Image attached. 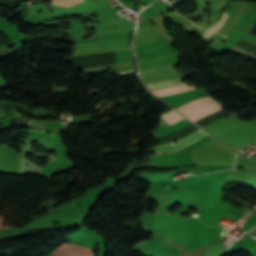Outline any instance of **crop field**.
Returning a JSON list of instances; mask_svg holds the SVG:
<instances>
[{"label": "crop field", "mask_w": 256, "mask_h": 256, "mask_svg": "<svg viewBox=\"0 0 256 256\" xmlns=\"http://www.w3.org/2000/svg\"><path fill=\"white\" fill-rule=\"evenodd\" d=\"M52 255L54 256H93V251L79 246V245H70L64 244L53 251ZM48 255V256H52Z\"/></svg>", "instance_id": "crop-field-1"}, {"label": "crop field", "mask_w": 256, "mask_h": 256, "mask_svg": "<svg viewBox=\"0 0 256 256\" xmlns=\"http://www.w3.org/2000/svg\"><path fill=\"white\" fill-rule=\"evenodd\" d=\"M204 135L206 134H204L202 131L199 130L194 134L177 141L178 143L176 144L170 143L162 146H156L154 148L157 154L178 150V149H181L183 146L191 144L192 142L196 141L197 139L201 138Z\"/></svg>", "instance_id": "crop-field-2"}, {"label": "crop field", "mask_w": 256, "mask_h": 256, "mask_svg": "<svg viewBox=\"0 0 256 256\" xmlns=\"http://www.w3.org/2000/svg\"><path fill=\"white\" fill-rule=\"evenodd\" d=\"M189 124H191V123H189L187 120L183 119L168 128L157 130V131H152V133L156 138H158L160 136H164V135H168L173 132H176Z\"/></svg>", "instance_id": "crop-field-3"}, {"label": "crop field", "mask_w": 256, "mask_h": 256, "mask_svg": "<svg viewBox=\"0 0 256 256\" xmlns=\"http://www.w3.org/2000/svg\"><path fill=\"white\" fill-rule=\"evenodd\" d=\"M182 80H184V78L150 83V84H146V86L149 88L150 91H153V90H158V89H162V88H166V87H170V86L183 85V84H185L184 82L177 83Z\"/></svg>", "instance_id": "crop-field-4"}, {"label": "crop field", "mask_w": 256, "mask_h": 256, "mask_svg": "<svg viewBox=\"0 0 256 256\" xmlns=\"http://www.w3.org/2000/svg\"><path fill=\"white\" fill-rule=\"evenodd\" d=\"M53 5H59V6H64V7H70L74 4H77L79 2H83V0H51ZM42 2V1H38ZM36 3V2H28V6Z\"/></svg>", "instance_id": "crop-field-5"}, {"label": "crop field", "mask_w": 256, "mask_h": 256, "mask_svg": "<svg viewBox=\"0 0 256 256\" xmlns=\"http://www.w3.org/2000/svg\"><path fill=\"white\" fill-rule=\"evenodd\" d=\"M27 139L30 140L31 142H38L39 145L42 146V148L46 151L52 150L55 145L53 143H48V142H44V141L34 140V139H30V138H27Z\"/></svg>", "instance_id": "crop-field-6"}, {"label": "crop field", "mask_w": 256, "mask_h": 256, "mask_svg": "<svg viewBox=\"0 0 256 256\" xmlns=\"http://www.w3.org/2000/svg\"><path fill=\"white\" fill-rule=\"evenodd\" d=\"M254 208H256V206H253Z\"/></svg>", "instance_id": "crop-field-7"}]
</instances>
